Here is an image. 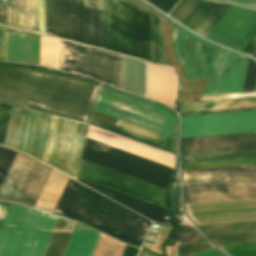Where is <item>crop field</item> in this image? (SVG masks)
Segmentation results:
<instances>
[{
    "mask_svg": "<svg viewBox=\"0 0 256 256\" xmlns=\"http://www.w3.org/2000/svg\"><path fill=\"white\" fill-rule=\"evenodd\" d=\"M100 84L0 63V101L87 122Z\"/></svg>",
    "mask_w": 256,
    "mask_h": 256,
    "instance_id": "1",
    "label": "crop field"
},
{
    "mask_svg": "<svg viewBox=\"0 0 256 256\" xmlns=\"http://www.w3.org/2000/svg\"><path fill=\"white\" fill-rule=\"evenodd\" d=\"M171 23L172 46L185 78L207 79L203 95L236 92L244 56Z\"/></svg>",
    "mask_w": 256,
    "mask_h": 256,
    "instance_id": "2",
    "label": "crop field"
},
{
    "mask_svg": "<svg viewBox=\"0 0 256 256\" xmlns=\"http://www.w3.org/2000/svg\"><path fill=\"white\" fill-rule=\"evenodd\" d=\"M78 184L79 183L75 182L74 180L69 179L54 212L63 214V215L68 213L70 215L76 216L78 218H81L83 220L89 221L91 223L97 224L99 226H102L104 228L110 229L112 231H115L117 233H120L126 236L133 212L125 209L124 207L118 204H114L115 202L99 195L98 193L82 185H79L75 194L81 196L82 198L90 201L91 203L97 206L107 205V204H114V205L97 207L91 204L90 202L74 194ZM76 207H80L82 209H85L89 212L96 214V221H94L95 220L94 214L89 213L80 208L69 210V211L94 219V220L66 211L68 209H72ZM68 214H66V216L78 219ZM81 219H78V220H81ZM143 220L144 218L136 214H133V218L131 221V225H130L127 237L117 234L115 232H112L110 230L104 229L102 227L96 226L89 222H86V221H83V222L132 244ZM150 225H151V222L145 219L133 244L139 245V246L141 245Z\"/></svg>",
    "mask_w": 256,
    "mask_h": 256,
    "instance_id": "3",
    "label": "crop field"
},
{
    "mask_svg": "<svg viewBox=\"0 0 256 256\" xmlns=\"http://www.w3.org/2000/svg\"><path fill=\"white\" fill-rule=\"evenodd\" d=\"M103 48L152 61L151 15L127 0H101Z\"/></svg>",
    "mask_w": 256,
    "mask_h": 256,
    "instance_id": "4",
    "label": "crop field"
},
{
    "mask_svg": "<svg viewBox=\"0 0 256 256\" xmlns=\"http://www.w3.org/2000/svg\"><path fill=\"white\" fill-rule=\"evenodd\" d=\"M184 203L256 197V165L182 171Z\"/></svg>",
    "mask_w": 256,
    "mask_h": 256,
    "instance_id": "5",
    "label": "crop field"
},
{
    "mask_svg": "<svg viewBox=\"0 0 256 256\" xmlns=\"http://www.w3.org/2000/svg\"><path fill=\"white\" fill-rule=\"evenodd\" d=\"M57 219L11 203L0 230V256H43Z\"/></svg>",
    "mask_w": 256,
    "mask_h": 256,
    "instance_id": "6",
    "label": "crop field"
},
{
    "mask_svg": "<svg viewBox=\"0 0 256 256\" xmlns=\"http://www.w3.org/2000/svg\"><path fill=\"white\" fill-rule=\"evenodd\" d=\"M83 159L167 188L174 170L104 144L85 140Z\"/></svg>",
    "mask_w": 256,
    "mask_h": 256,
    "instance_id": "7",
    "label": "crop field"
},
{
    "mask_svg": "<svg viewBox=\"0 0 256 256\" xmlns=\"http://www.w3.org/2000/svg\"><path fill=\"white\" fill-rule=\"evenodd\" d=\"M86 127L53 116L43 162L75 178Z\"/></svg>",
    "mask_w": 256,
    "mask_h": 256,
    "instance_id": "8",
    "label": "crop field"
},
{
    "mask_svg": "<svg viewBox=\"0 0 256 256\" xmlns=\"http://www.w3.org/2000/svg\"><path fill=\"white\" fill-rule=\"evenodd\" d=\"M51 118V115L13 105L4 145L42 160Z\"/></svg>",
    "mask_w": 256,
    "mask_h": 256,
    "instance_id": "9",
    "label": "crop field"
},
{
    "mask_svg": "<svg viewBox=\"0 0 256 256\" xmlns=\"http://www.w3.org/2000/svg\"><path fill=\"white\" fill-rule=\"evenodd\" d=\"M52 168L17 153L0 188V196L36 203Z\"/></svg>",
    "mask_w": 256,
    "mask_h": 256,
    "instance_id": "10",
    "label": "crop field"
},
{
    "mask_svg": "<svg viewBox=\"0 0 256 256\" xmlns=\"http://www.w3.org/2000/svg\"><path fill=\"white\" fill-rule=\"evenodd\" d=\"M66 44L91 50L94 52L106 54L114 58V55L111 53L103 52L100 50L92 49L89 47H85V46H81L78 44L61 40L60 70L86 75V76L101 80L103 82L109 83L111 85H112L111 82H113L114 86L120 88L121 56L115 55V59H113L106 55H102V54H98V53H94L91 51L70 46L71 48H73L75 51H77L79 54L83 56V58L80 59L82 56H80L78 53H76ZM78 59L80 60L78 61ZM64 64L73 65V66L76 65V67L65 65V68L67 69L88 73V74L106 79L111 82L105 81L103 79H100L91 75L64 69Z\"/></svg>",
    "mask_w": 256,
    "mask_h": 256,
    "instance_id": "11",
    "label": "crop field"
},
{
    "mask_svg": "<svg viewBox=\"0 0 256 256\" xmlns=\"http://www.w3.org/2000/svg\"><path fill=\"white\" fill-rule=\"evenodd\" d=\"M79 178L166 208V190L119 172L81 161Z\"/></svg>",
    "mask_w": 256,
    "mask_h": 256,
    "instance_id": "12",
    "label": "crop field"
},
{
    "mask_svg": "<svg viewBox=\"0 0 256 256\" xmlns=\"http://www.w3.org/2000/svg\"><path fill=\"white\" fill-rule=\"evenodd\" d=\"M256 131V111L182 117L181 138Z\"/></svg>",
    "mask_w": 256,
    "mask_h": 256,
    "instance_id": "13",
    "label": "crop field"
},
{
    "mask_svg": "<svg viewBox=\"0 0 256 256\" xmlns=\"http://www.w3.org/2000/svg\"><path fill=\"white\" fill-rule=\"evenodd\" d=\"M256 33V11L231 5L207 39L239 52Z\"/></svg>",
    "mask_w": 256,
    "mask_h": 256,
    "instance_id": "14",
    "label": "crop field"
},
{
    "mask_svg": "<svg viewBox=\"0 0 256 256\" xmlns=\"http://www.w3.org/2000/svg\"><path fill=\"white\" fill-rule=\"evenodd\" d=\"M229 6L206 0H181L170 16L206 38Z\"/></svg>",
    "mask_w": 256,
    "mask_h": 256,
    "instance_id": "15",
    "label": "crop field"
},
{
    "mask_svg": "<svg viewBox=\"0 0 256 256\" xmlns=\"http://www.w3.org/2000/svg\"><path fill=\"white\" fill-rule=\"evenodd\" d=\"M72 40L101 47L100 0H72Z\"/></svg>",
    "mask_w": 256,
    "mask_h": 256,
    "instance_id": "16",
    "label": "crop field"
},
{
    "mask_svg": "<svg viewBox=\"0 0 256 256\" xmlns=\"http://www.w3.org/2000/svg\"><path fill=\"white\" fill-rule=\"evenodd\" d=\"M94 111L127 121L175 139L176 123L97 96Z\"/></svg>",
    "mask_w": 256,
    "mask_h": 256,
    "instance_id": "17",
    "label": "crop field"
},
{
    "mask_svg": "<svg viewBox=\"0 0 256 256\" xmlns=\"http://www.w3.org/2000/svg\"><path fill=\"white\" fill-rule=\"evenodd\" d=\"M256 148V132L183 139V155Z\"/></svg>",
    "mask_w": 256,
    "mask_h": 256,
    "instance_id": "18",
    "label": "crop field"
},
{
    "mask_svg": "<svg viewBox=\"0 0 256 256\" xmlns=\"http://www.w3.org/2000/svg\"><path fill=\"white\" fill-rule=\"evenodd\" d=\"M178 77L172 67L148 63L147 97L172 108L177 97Z\"/></svg>",
    "mask_w": 256,
    "mask_h": 256,
    "instance_id": "19",
    "label": "crop field"
},
{
    "mask_svg": "<svg viewBox=\"0 0 256 256\" xmlns=\"http://www.w3.org/2000/svg\"><path fill=\"white\" fill-rule=\"evenodd\" d=\"M89 123L175 154V140L166 136L148 131L120 120H118L116 125L113 126L91 117Z\"/></svg>",
    "mask_w": 256,
    "mask_h": 256,
    "instance_id": "20",
    "label": "crop field"
},
{
    "mask_svg": "<svg viewBox=\"0 0 256 256\" xmlns=\"http://www.w3.org/2000/svg\"><path fill=\"white\" fill-rule=\"evenodd\" d=\"M71 0H45L46 34L71 40Z\"/></svg>",
    "mask_w": 256,
    "mask_h": 256,
    "instance_id": "21",
    "label": "crop field"
},
{
    "mask_svg": "<svg viewBox=\"0 0 256 256\" xmlns=\"http://www.w3.org/2000/svg\"><path fill=\"white\" fill-rule=\"evenodd\" d=\"M16 33L15 29L7 28ZM23 32V31H19ZM13 34L7 30V60L22 62H39V37L31 34ZM26 62V63H28ZM36 65H39L36 64Z\"/></svg>",
    "mask_w": 256,
    "mask_h": 256,
    "instance_id": "22",
    "label": "crop field"
},
{
    "mask_svg": "<svg viewBox=\"0 0 256 256\" xmlns=\"http://www.w3.org/2000/svg\"><path fill=\"white\" fill-rule=\"evenodd\" d=\"M78 181L90 186L91 188L103 193L104 195L116 200L117 202L129 207L130 209L142 214L143 216L163 223H173L174 221L166 215L165 209L137 200L135 198L123 195L121 193L109 190L96 184L84 181L78 178Z\"/></svg>",
    "mask_w": 256,
    "mask_h": 256,
    "instance_id": "23",
    "label": "crop field"
},
{
    "mask_svg": "<svg viewBox=\"0 0 256 256\" xmlns=\"http://www.w3.org/2000/svg\"><path fill=\"white\" fill-rule=\"evenodd\" d=\"M7 25L38 30L37 0H12L6 7Z\"/></svg>",
    "mask_w": 256,
    "mask_h": 256,
    "instance_id": "24",
    "label": "crop field"
},
{
    "mask_svg": "<svg viewBox=\"0 0 256 256\" xmlns=\"http://www.w3.org/2000/svg\"><path fill=\"white\" fill-rule=\"evenodd\" d=\"M145 63L122 56L121 89L144 96Z\"/></svg>",
    "mask_w": 256,
    "mask_h": 256,
    "instance_id": "25",
    "label": "crop field"
},
{
    "mask_svg": "<svg viewBox=\"0 0 256 256\" xmlns=\"http://www.w3.org/2000/svg\"><path fill=\"white\" fill-rule=\"evenodd\" d=\"M214 244L256 242V233L208 237ZM230 256H256V243L218 246Z\"/></svg>",
    "mask_w": 256,
    "mask_h": 256,
    "instance_id": "26",
    "label": "crop field"
},
{
    "mask_svg": "<svg viewBox=\"0 0 256 256\" xmlns=\"http://www.w3.org/2000/svg\"><path fill=\"white\" fill-rule=\"evenodd\" d=\"M99 235L77 224L63 256H91Z\"/></svg>",
    "mask_w": 256,
    "mask_h": 256,
    "instance_id": "27",
    "label": "crop field"
},
{
    "mask_svg": "<svg viewBox=\"0 0 256 256\" xmlns=\"http://www.w3.org/2000/svg\"><path fill=\"white\" fill-rule=\"evenodd\" d=\"M102 89H103V93L101 95L104 97L113 99L115 101L124 103L126 105L135 107L137 109L149 112L151 114L160 116L162 118H165V119H168V120H171V121L177 123V119L172 112L168 111L167 109H165L153 102H149V101L135 98V97H132L129 95H125V94L119 93L115 90L109 89L104 86L102 87ZM101 92H102V90L100 89L98 94H100Z\"/></svg>",
    "mask_w": 256,
    "mask_h": 256,
    "instance_id": "28",
    "label": "crop field"
},
{
    "mask_svg": "<svg viewBox=\"0 0 256 256\" xmlns=\"http://www.w3.org/2000/svg\"><path fill=\"white\" fill-rule=\"evenodd\" d=\"M68 179L67 176L52 170L35 207L52 213Z\"/></svg>",
    "mask_w": 256,
    "mask_h": 256,
    "instance_id": "29",
    "label": "crop field"
},
{
    "mask_svg": "<svg viewBox=\"0 0 256 256\" xmlns=\"http://www.w3.org/2000/svg\"><path fill=\"white\" fill-rule=\"evenodd\" d=\"M256 106V98H243V99H231V100H218V101H206V102H189L181 100L179 103L180 113L196 112V111H208L241 107Z\"/></svg>",
    "mask_w": 256,
    "mask_h": 256,
    "instance_id": "30",
    "label": "crop field"
},
{
    "mask_svg": "<svg viewBox=\"0 0 256 256\" xmlns=\"http://www.w3.org/2000/svg\"><path fill=\"white\" fill-rule=\"evenodd\" d=\"M165 23L166 21L152 14L153 62L169 65L164 47Z\"/></svg>",
    "mask_w": 256,
    "mask_h": 256,
    "instance_id": "31",
    "label": "crop field"
},
{
    "mask_svg": "<svg viewBox=\"0 0 256 256\" xmlns=\"http://www.w3.org/2000/svg\"><path fill=\"white\" fill-rule=\"evenodd\" d=\"M244 157H256V149L255 150H244V151L181 156V163L244 158Z\"/></svg>",
    "mask_w": 256,
    "mask_h": 256,
    "instance_id": "32",
    "label": "crop field"
},
{
    "mask_svg": "<svg viewBox=\"0 0 256 256\" xmlns=\"http://www.w3.org/2000/svg\"><path fill=\"white\" fill-rule=\"evenodd\" d=\"M198 235L197 230L187 225H181L179 229L173 232L166 246L168 256H176V245L191 243Z\"/></svg>",
    "mask_w": 256,
    "mask_h": 256,
    "instance_id": "33",
    "label": "crop field"
},
{
    "mask_svg": "<svg viewBox=\"0 0 256 256\" xmlns=\"http://www.w3.org/2000/svg\"><path fill=\"white\" fill-rule=\"evenodd\" d=\"M245 164H256V158L210 161V162H199V163H187V164H182V170L210 168V167H222V166H234V165H245Z\"/></svg>",
    "mask_w": 256,
    "mask_h": 256,
    "instance_id": "34",
    "label": "crop field"
},
{
    "mask_svg": "<svg viewBox=\"0 0 256 256\" xmlns=\"http://www.w3.org/2000/svg\"><path fill=\"white\" fill-rule=\"evenodd\" d=\"M15 154H16V151L0 146V186Z\"/></svg>",
    "mask_w": 256,
    "mask_h": 256,
    "instance_id": "35",
    "label": "crop field"
},
{
    "mask_svg": "<svg viewBox=\"0 0 256 256\" xmlns=\"http://www.w3.org/2000/svg\"><path fill=\"white\" fill-rule=\"evenodd\" d=\"M256 84V63L249 59L242 92L254 91Z\"/></svg>",
    "mask_w": 256,
    "mask_h": 256,
    "instance_id": "36",
    "label": "crop field"
},
{
    "mask_svg": "<svg viewBox=\"0 0 256 256\" xmlns=\"http://www.w3.org/2000/svg\"><path fill=\"white\" fill-rule=\"evenodd\" d=\"M12 105L0 103V144L3 145Z\"/></svg>",
    "mask_w": 256,
    "mask_h": 256,
    "instance_id": "37",
    "label": "crop field"
},
{
    "mask_svg": "<svg viewBox=\"0 0 256 256\" xmlns=\"http://www.w3.org/2000/svg\"><path fill=\"white\" fill-rule=\"evenodd\" d=\"M156 7L160 8L166 14L171 10L177 0H146Z\"/></svg>",
    "mask_w": 256,
    "mask_h": 256,
    "instance_id": "38",
    "label": "crop field"
},
{
    "mask_svg": "<svg viewBox=\"0 0 256 256\" xmlns=\"http://www.w3.org/2000/svg\"><path fill=\"white\" fill-rule=\"evenodd\" d=\"M255 96H256V92H254V93H243V94L220 95V96H209V97H202L201 101L218 100V99H230V98H243V97H255Z\"/></svg>",
    "mask_w": 256,
    "mask_h": 256,
    "instance_id": "39",
    "label": "crop field"
},
{
    "mask_svg": "<svg viewBox=\"0 0 256 256\" xmlns=\"http://www.w3.org/2000/svg\"><path fill=\"white\" fill-rule=\"evenodd\" d=\"M39 32L45 34L44 0H38Z\"/></svg>",
    "mask_w": 256,
    "mask_h": 256,
    "instance_id": "40",
    "label": "crop field"
},
{
    "mask_svg": "<svg viewBox=\"0 0 256 256\" xmlns=\"http://www.w3.org/2000/svg\"><path fill=\"white\" fill-rule=\"evenodd\" d=\"M0 59L6 60V28L0 27Z\"/></svg>",
    "mask_w": 256,
    "mask_h": 256,
    "instance_id": "41",
    "label": "crop field"
},
{
    "mask_svg": "<svg viewBox=\"0 0 256 256\" xmlns=\"http://www.w3.org/2000/svg\"><path fill=\"white\" fill-rule=\"evenodd\" d=\"M255 51H256V34L251 39V41L247 44V46L243 49L242 53L252 56Z\"/></svg>",
    "mask_w": 256,
    "mask_h": 256,
    "instance_id": "42",
    "label": "crop field"
},
{
    "mask_svg": "<svg viewBox=\"0 0 256 256\" xmlns=\"http://www.w3.org/2000/svg\"><path fill=\"white\" fill-rule=\"evenodd\" d=\"M138 251L139 249L132 248L126 245L121 256H136Z\"/></svg>",
    "mask_w": 256,
    "mask_h": 256,
    "instance_id": "43",
    "label": "crop field"
},
{
    "mask_svg": "<svg viewBox=\"0 0 256 256\" xmlns=\"http://www.w3.org/2000/svg\"><path fill=\"white\" fill-rule=\"evenodd\" d=\"M247 60H248V59L245 58V61H244L243 66H242V70H241V75H240V80H239V85H238V90H237V92H241V90H242V85H243V80H244V75H245Z\"/></svg>",
    "mask_w": 256,
    "mask_h": 256,
    "instance_id": "44",
    "label": "crop field"
},
{
    "mask_svg": "<svg viewBox=\"0 0 256 256\" xmlns=\"http://www.w3.org/2000/svg\"><path fill=\"white\" fill-rule=\"evenodd\" d=\"M190 256H222V255L218 253L216 250L212 249V250L192 254Z\"/></svg>",
    "mask_w": 256,
    "mask_h": 256,
    "instance_id": "45",
    "label": "crop field"
},
{
    "mask_svg": "<svg viewBox=\"0 0 256 256\" xmlns=\"http://www.w3.org/2000/svg\"><path fill=\"white\" fill-rule=\"evenodd\" d=\"M10 203H1L0 202V227L5 217L6 211Z\"/></svg>",
    "mask_w": 256,
    "mask_h": 256,
    "instance_id": "46",
    "label": "crop field"
},
{
    "mask_svg": "<svg viewBox=\"0 0 256 256\" xmlns=\"http://www.w3.org/2000/svg\"><path fill=\"white\" fill-rule=\"evenodd\" d=\"M231 1H235V2H239V3H243V4H247V5L256 7V0H231Z\"/></svg>",
    "mask_w": 256,
    "mask_h": 256,
    "instance_id": "47",
    "label": "crop field"
},
{
    "mask_svg": "<svg viewBox=\"0 0 256 256\" xmlns=\"http://www.w3.org/2000/svg\"><path fill=\"white\" fill-rule=\"evenodd\" d=\"M139 256H158V255H155V254L149 253L147 251L141 250Z\"/></svg>",
    "mask_w": 256,
    "mask_h": 256,
    "instance_id": "48",
    "label": "crop field"
},
{
    "mask_svg": "<svg viewBox=\"0 0 256 256\" xmlns=\"http://www.w3.org/2000/svg\"><path fill=\"white\" fill-rule=\"evenodd\" d=\"M151 231L157 233L158 230L151 229ZM149 235H150V234H149ZM150 236H154V235H150ZM148 237H149V236H148ZM154 237H155V236H154ZM150 238H153V237H150ZM147 239H148V238H147ZM148 240H152V239H148ZM152 241H153V240H152ZM150 245H152V244L145 242L144 247L149 248Z\"/></svg>",
    "mask_w": 256,
    "mask_h": 256,
    "instance_id": "49",
    "label": "crop field"
},
{
    "mask_svg": "<svg viewBox=\"0 0 256 256\" xmlns=\"http://www.w3.org/2000/svg\"><path fill=\"white\" fill-rule=\"evenodd\" d=\"M180 203H181V198H180ZM188 225H191V226H193L191 222H188Z\"/></svg>",
    "mask_w": 256,
    "mask_h": 256,
    "instance_id": "50",
    "label": "crop field"
},
{
    "mask_svg": "<svg viewBox=\"0 0 256 256\" xmlns=\"http://www.w3.org/2000/svg\"><path fill=\"white\" fill-rule=\"evenodd\" d=\"M5 0H0V5L4 2Z\"/></svg>",
    "mask_w": 256,
    "mask_h": 256,
    "instance_id": "51",
    "label": "crop field"
},
{
    "mask_svg": "<svg viewBox=\"0 0 256 256\" xmlns=\"http://www.w3.org/2000/svg\"><path fill=\"white\" fill-rule=\"evenodd\" d=\"M254 57H256V55Z\"/></svg>",
    "mask_w": 256,
    "mask_h": 256,
    "instance_id": "52",
    "label": "crop field"
},
{
    "mask_svg": "<svg viewBox=\"0 0 256 256\" xmlns=\"http://www.w3.org/2000/svg\"><path fill=\"white\" fill-rule=\"evenodd\" d=\"M255 91H256V89H255Z\"/></svg>",
    "mask_w": 256,
    "mask_h": 256,
    "instance_id": "53",
    "label": "crop field"
}]
</instances>
